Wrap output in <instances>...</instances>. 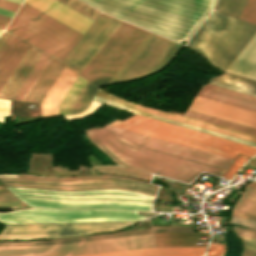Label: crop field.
Returning <instances> with one entry per match:
<instances>
[{"mask_svg": "<svg viewBox=\"0 0 256 256\" xmlns=\"http://www.w3.org/2000/svg\"><path fill=\"white\" fill-rule=\"evenodd\" d=\"M83 1L123 20L181 42L189 38L216 0Z\"/></svg>", "mask_w": 256, "mask_h": 256, "instance_id": "1", "label": "crop field"}, {"mask_svg": "<svg viewBox=\"0 0 256 256\" xmlns=\"http://www.w3.org/2000/svg\"><path fill=\"white\" fill-rule=\"evenodd\" d=\"M86 134L94 145L121 165L123 164L110 155L102 144L127 166L186 183L191 182L201 171L217 176H222L224 173V170L147 150L103 128L86 131ZM115 138L148 153L128 147Z\"/></svg>", "mask_w": 256, "mask_h": 256, "instance_id": "2", "label": "crop field"}, {"mask_svg": "<svg viewBox=\"0 0 256 256\" xmlns=\"http://www.w3.org/2000/svg\"><path fill=\"white\" fill-rule=\"evenodd\" d=\"M255 33V25L213 11L186 46L226 71Z\"/></svg>", "mask_w": 256, "mask_h": 256, "instance_id": "3", "label": "crop field"}, {"mask_svg": "<svg viewBox=\"0 0 256 256\" xmlns=\"http://www.w3.org/2000/svg\"><path fill=\"white\" fill-rule=\"evenodd\" d=\"M6 31L59 60L83 35L25 2Z\"/></svg>", "mask_w": 256, "mask_h": 256, "instance_id": "4", "label": "crop field"}, {"mask_svg": "<svg viewBox=\"0 0 256 256\" xmlns=\"http://www.w3.org/2000/svg\"><path fill=\"white\" fill-rule=\"evenodd\" d=\"M110 125L200 149L234 159L237 153L254 156L256 148L191 131L167 123L135 115L128 120L115 121Z\"/></svg>", "mask_w": 256, "mask_h": 256, "instance_id": "5", "label": "crop field"}, {"mask_svg": "<svg viewBox=\"0 0 256 256\" xmlns=\"http://www.w3.org/2000/svg\"><path fill=\"white\" fill-rule=\"evenodd\" d=\"M147 33L123 22L80 75L99 87L106 84Z\"/></svg>", "mask_w": 256, "mask_h": 256, "instance_id": "6", "label": "crop field"}, {"mask_svg": "<svg viewBox=\"0 0 256 256\" xmlns=\"http://www.w3.org/2000/svg\"><path fill=\"white\" fill-rule=\"evenodd\" d=\"M155 247L152 234L53 246L0 247V256H77Z\"/></svg>", "mask_w": 256, "mask_h": 256, "instance_id": "7", "label": "crop field"}, {"mask_svg": "<svg viewBox=\"0 0 256 256\" xmlns=\"http://www.w3.org/2000/svg\"><path fill=\"white\" fill-rule=\"evenodd\" d=\"M182 46L149 32L107 84L142 78L160 70L169 64Z\"/></svg>", "mask_w": 256, "mask_h": 256, "instance_id": "8", "label": "crop field"}, {"mask_svg": "<svg viewBox=\"0 0 256 256\" xmlns=\"http://www.w3.org/2000/svg\"><path fill=\"white\" fill-rule=\"evenodd\" d=\"M145 216L137 211L121 210H54L25 209L0 213V221L5 223H75L88 221L139 220Z\"/></svg>", "mask_w": 256, "mask_h": 256, "instance_id": "9", "label": "crop field"}, {"mask_svg": "<svg viewBox=\"0 0 256 256\" xmlns=\"http://www.w3.org/2000/svg\"><path fill=\"white\" fill-rule=\"evenodd\" d=\"M136 222H102L73 225L30 224L7 225L0 239L56 238L115 230Z\"/></svg>", "mask_w": 256, "mask_h": 256, "instance_id": "10", "label": "crop field"}, {"mask_svg": "<svg viewBox=\"0 0 256 256\" xmlns=\"http://www.w3.org/2000/svg\"><path fill=\"white\" fill-rule=\"evenodd\" d=\"M121 23L122 21L102 13L65 57L63 63L80 74Z\"/></svg>", "mask_w": 256, "mask_h": 256, "instance_id": "11", "label": "crop field"}, {"mask_svg": "<svg viewBox=\"0 0 256 256\" xmlns=\"http://www.w3.org/2000/svg\"><path fill=\"white\" fill-rule=\"evenodd\" d=\"M118 135H121L131 141H134L147 148L155 149L172 155L180 156L193 161L221 167L227 169L232 159L217 156L200 150L192 149L175 143L167 142L150 136L142 135L114 126L104 127Z\"/></svg>", "mask_w": 256, "mask_h": 256, "instance_id": "12", "label": "crop field"}, {"mask_svg": "<svg viewBox=\"0 0 256 256\" xmlns=\"http://www.w3.org/2000/svg\"><path fill=\"white\" fill-rule=\"evenodd\" d=\"M27 205L45 208H111L151 211V203L117 200H58L35 197H17Z\"/></svg>", "mask_w": 256, "mask_h": 256, "instance_id": "13", "label": "crop field"}, {"mask_svg": "<svg viewBox=\"0 0 256 256\" xmlns=\"http://www.w3.org/2000/svg\"><path fill=\"white\" fill-rule=\"evenodd\" d=\"M1 182H22V183H44V184H55V185H66V186H79V185H92V184H103V183H117L119 185H100V186H83V187H65V186H54V185H32V184H12L3 183L4 186H21V187H34V188H49V189H60V190H82V189H93V188H115L124 189L128 191L139 192L148 195H155L157 189L146 187L138 184L122 181H111V180H85L76 182H53V181H39V180H24V179H0Z\"/></svg>", "mask_w": 256, "mask_h": 256, "instance_id": "14", "label": "crop field"}, {"mask_svg": "<svg viewBox=\"0 0 256 256\" xmlns=\"http://www.w3.org/2000/svg\"><path fill=\"white\" fill-rule=\"evenodd\" d=\"M189 110L256 128V113L196 96Z\"/></svg>", "mask_w": 256, "mask_h": 256, "instance_id": "15", "label": "crop field"}, {"mask_svg": "<svg viewBox=\"0 0 256 256\" xmlns=\"http://www.w3.org/2000/svg\"><path fill=\"white\" fill-rule=\"evenodd\" d=\"M95 96L100 97V98H104V99H107V100H111V101L126 105L128 107H131V108H134V109H137V110H140V111L155 114V115H158V116L173 119V120H176V121H180V122H183V123L198 126V127H201V128H205V129H208V130L216 131V132H219V133H223V134H226V135H230V136H233V137L241 138V139L248 140V141L256 143V136L249 135V134L242 133V132H238V131H235V130H231V129L221 127V126H218V125L210 124V123H207V122L199 121V120H196V119H192V118H188V117H184V116H180V115H176V114H172V113L162 112V111H158V110L144 108L140 105L133 104V103L115 98L116 96L113 97V96H111V95H109V94H107V93H105V92H103L99 89L96 92Z\"/></svg>", "mask_w": 256, "mask_h": 256, "instance_id": "16", "label": "crop field"}, {"mask_svg": "<svg viewBox=\"0 0 256 256\" xmlns=\"http://www.w3.org/2000/svg\"><path fill=\"white\" fill-rule=\"evenodd\" d=\"M25 2L33 5L34 7L83 34L94 22L55 0H26Z\"/></svg>", "mask_w": 256, "mask_h": 256, "instance_id": "17", "label": "crop field"}, {"mask_svg": "<svg viewBox=\"0 0 256 256\" xmlns=\"http://www.w3.org/2000/svg\"><path fill=\"white\" fill-rule=\"evenodd\" d=\"M78 74L65 66L41 103V119L57 116V106Z\"/></svg>", "mask_w": 256, "mask_h": 256, "instance_id": "18", "label": "crop field"}, {"mask_svg": "<svg viewBox=\"0 0 256 256\" xmlns=\"http://www.w3.org/2000/svg\"><path fill=\"white\" fill-rule=\"evenodd\" d=\"M9 191H26V192H40V193H56V194H64V195H90V194H129L141 197H133V196H116V195H96V196H56V195H43V194H31V193H19L12 192L14 195H29V196H45V197H56V198H66V199H99V198H107V199H135V200H146L152 201V196L142 195L138 193L128 192L124 190H98V191H84V192H62V191H47V190H36V189H26V188H18V187H6Z\"/></svg>", "mask_w": 256, "mask_h": 256, "instance_id": "19", "label": "crop field"}, {"mask_svg": "<svg viewBox=\"0 0 256 256\" xmlns=\"http://www.w3.org/2000/svg\"><path fill=\"white\" fill-rule=\"evenodd\" d=\"M198 96L256 112V98L214 85L207 84L203 86Z\"/></svg>", "mask_w": 256, "mask_h": 256, "instance_id": "20", "label": "crop field"}, {"mask_svg": "<svg viewBox=\"0 0 256 256\" xmlns=\"http://www.w3.org/2000/svg\"><path fill=\"white\" fill-rule=\"evenodd\" d=\"M30 45L12 36L0 54V91Z\"/></svg>", "mask_w": 256, "mask_h": 256, "instance_id": "21", "label": "crop field"}, {"mask_svg": "<svg viewBox=\"0 0 256 256\" xmlns=\"http://www.w3.org/2000/svg\"><path fill=\"white\" fill-rule=\"evenodd\" d=\"M43 52L30 46L23 59L0 92V98L12 99Z\"/></svg>", "mask_w": 256, "mask_h": 256, "instance_id": "22", "label": "crop field"}, {"mask_svg": "<svg viewBox=\"0 0 256 256\" xmlns=\"http://www.w3.org/2000/svg\"><path fill=\"white\" fill-rule=\"evenodd\" d=\"M64 66L51 58L23 101L41 103Z\"/></svg>", "mask_w": 256, "mask_h": 256, "instance_id": "23", "label": "crop field"}, {"mask_svg": "<svg viewBox=\"0 0 256 256\" xmlns=\"http://www.w3.org/2000/svg\"><path fill=\"white\" fill-rule=\"evenodd\" d=\"M206 247L151 248L86 256H202Z\"/></svg>", "mask_w": 256, "mask_h": 256, "instance_id": "24", "label": "crop field"}, {"mask_svg": "<svg viewBox=\"0 0 256 256\" xmlns=\"http://www.w3.org/2000/svg\"><path fill=\"white\" fill-rule=\"evenodd\" d=\"M227 72L256 80V34L228 68Z\"/></svg>", "mask_w": 256, "mask_h": 256, "instance_id": "25", "label": "crop field"}, {"mask_svg": "<svg viewBox=\"0 0 256 256\" xmlns=\"http://www.w3.org/2000/svg\"><path fill=\"white\" fill-rule=\"evenodd\" d=\"M148 233H152L151 229L139 230V231H130V232H122V233H115V234H108V235H98V236L59 239V240H51V241L17 242V243L0 242V246L53 245V244L79 242V241L96 240V239H105V238L122 237V236H131V235L148 234Z\"/></svg>", "mask_w": 256, "mask_h": 256, "instance_id": "26", "label": "crop field"}, {"mask_svg": "<svg viewBox=\"0 0 256 256\" xmlns=\"http://www.w3.org/2000/svg\"><path fill=\"white\" fill-rule=\"evenodd\" d=\"M210 84L256 96V81L238 76L224 74L222 76L211 79Z\"/></svg>", "mask_w": 256, "mask_h": 256, "instance_id": "27", "label": "crop field"}, {"mask_svg": "<svg viewBox=\"0 0 256 256\" xmlns=\"http://www.w3.org/2000/svg\"><path fill=\"white\" fill-rule=\"evenodd\" d=\"M157 246H205L195 245L196 236L209 234L154 233Z\"/></svg>", "mask_w": 256, "mask_h": 256, "instance_id": "28", "label": "crop field"}, {"mask_svg": "<svg viewBox=\"0 0 256 256\" xmlns=\"http://www.w3.org/2000/svg\"><path fill=\"white\" fill-rule=\"evenodd\" d=\"M94 100L100 101V102H103V103H106V104H109V105H112V106H115L117 108L129 111V112H132V113H135V114H138V115L146 116V117L153 118V119H156V120L164 121V122H167V123L175 124V125L182 126V127H185V128L193 129V130H196V131L204 132V133H207V134L215 135V136H218V137H222V138H225V139L233 140V141H236V142H240V143H244V144L256 147V144H254V143L246 142V141L239 140V139H236V138H232V137H229V136H225V135H222V134L214 133V132L207 131V130H204V129H200V128H197V127H193V126H190V125H186V124H183V123L172 121V120H169V119H165V118H161V117L154 116V115H151V114H147V113H144V112H140V111L125 107L123 105H120V104H117V103H114V102H111V101L103 100V99L96 98V97L94 98Z\"/></svg>", "mask_w": 256, "mask_h": 256, "instance_id": "29", "label": "crop field"}, {"mask_svg": "<svg viewBox=\"0 0 256 256\" xmlns=\"http://www.w3.org/2000/svg\"><path fill=\"white\" fill-rule=\"evenodd\" d=\"M51 57L47 56L46 54L43 53L37 64L34 66L22 86L19 88L15 96L13 97L14 100H19L22 101L28 90L31 88L43 68L46 66L48 61L50 60Z\"/></svg>", "mask_w": 256, "mask_h": 256, "instance_id": "30", "label": "crop field"}, {"mask_svg": "<svg viewBox=\"0 0 256 256\" xmlns=\"http://www.w3.org/2000/svg\"><path fill=\"white\" fill-rule=\"evenodd\" d=\"M86 82V80L78 75V77L70 87L69 91L58 106V116L70 114L69 107L75 100L81 89L84 87Z\"/></svg>", "mask_w": 256, "mask_h": 256, "instance_id": "31", "label": "crop field"}, {"mask_svg": "<svg viewBox=\"0 0 256 256\" xmlns=\"http://www.w3.org/2000/svg\"><path fill=\"white\" fill-rule=\"evenodd\" d=\"M184 116L196 118V119H199V120L211 122V123H214V124L222 125V126H225V127L237 129V130H240V131H243V132H247V133L256 135V129L249 128V127H246V126H242V125H239V124H235V123H232V122H228V121H225V120H221V119H218V118L210 117V116L203 115V114H200V113H196V112H193V111L187 110L185 112Z\"/></svg>", "mask_w": 256, "mask_h": 256, "instance_id": "32", "label": "crop field"}, {"mask_svg": "<svg viewBox=\"0 0 256 256\" xmlns=\"http://www.w3.org/2000/svg\"><path fill=\"white\" fill-rule=\"evenodd\" d=\"M17 178H24V179H44V180H56V181H66V180H78V179H90V178H108V179H115V180H122V181H129L133 183H138L146 186H151L158 188V186L147 184L142 181L125 178V177H117L111 175H98V176H86V177H66V178H56V177H46V176H34V175H17Z\"/></svg>", "mask_w": 256, "mask_h": 256, "instance_id": "33", "label": "crop field"}, {"mask_svg": "<svg viewBox=\"0 0 256 256\" xmlns=\"http://www.w3.org/2000/svg\"><path fill=\"white\" fill-rule=\"evenodd\" d=\"M96 90V87L87 82L85 87L82 89L76 100L70 107L71 114L78 113L88 107L92 96Z\"/></svg>", "mask_w": 256, "mask_h": 256, "instance_id": "34", "label": "crop field"}, {"mask_svg": "<svg viewBox=\"0 0 256 256\" xmlns=\"http://www.w3.org/2000/svg\"><path fill=\"white\" fill-rule=\"evenodd\" d=\"M245 2L246 0H218L214 10L238 18Z\"/></svg>", "mask_w": 256, "mask_h": 256, "instance_id": "35", "label": "crop field"}, {"mask_svg": "<svg viewBox=\"0 0 256 256\" xmlns=\"http://www.w3.org/2000/svg\"><path fill=\"white\" fill-rule=\"evenodd\" d=\"M235 210L256 215V189L247 187Z\"/></svg>", "mask_w": 256, "mask_h": 256, "instance_id": "36", "label": "crop field"}, {"mask_svg": "<svg viewBox=\"0 0 256 256\" xmlns=\"http://www.w3.org/2000/svg\"><path fill=\"white\" fill-rule=\"evenodd\" d=\"M57 1L75 9L76 11L82 13L83 15L87 16L88 18L94 21L100 14V11L86 5L85 3L79 0H57Z\"/></svg>", "mask_w": 256, "mask_h": 256, "instance_id": "37", "label": "crop field"}, {"mask_svg": "<svg viewBox=\"0 0 256 256\" xmlns=\"http://www.w3.org/2000/svg\"><path fill=\"white\" fill-rule=\"evenodd\" d=\"M96 169H98L100 172L124 174V175H129L132 177H137V178H142L147 180H149L151 177V174L128 169V168H123V167L108 166V167H97Z\"/></svg>", "mask_w": 256, "mask_h": 256, "instance_id": "38", "label": "crop field"}, {"mask_svg": "<svg viewBox=\"0 0 256 256\" xmlns=\"http://www.w3.org/2000/svg\"><path fill=\"white\" fill-rule=\"evenodd\" d=\"M240 19L256 24V0H247Z\"/></svg>", "mask_w": 256, "mask_h": 256, "instance_id": "39", "label": "crop field"}, {"mask_svg": "<svg viewBox=\"0 0 256 256\" xmlns=\"http://www.w3.org/2000/svg\"><path fill=\"white\" fill-rule=\"evenodd\" d=\"M249 158L237 156L232 165L229 167L223 178L231 179L239 170L241 165L245 163Z\"/></svg>", "mask_w": 256, "mask_h": 256, "instance_id": "40", "label": "crop field"}, {"mask_svg": "<svg viewBox=\"0 0 256 256\" xmlns=\"http://www.w3.org/2000/svg\"><path fill=\"white\" fill-rule=\"evenodd\" d=\"M154 232H181L193 233L192 227H175V226H152Z\"/></svg>", "mask_w": 256, "mask_h": 256, "instance_id": "41", "label": "crop field"}, {"mask_svg": "<svg viewBox=\"0 0 256 256\" xmlns=\"http://www.w3.org/2000/svg\"><path fill=\"white\" fill-rule=\"evenodd\" d=\"M0 205L25 206L15 199L10 192H0Z\"/></svg>", "mask_w": 256, "mask_h": 256, "instance_id": "42", "label": "crop field"}, {"mask_svg": "<svg viewBox=\"0 0 256 256\" xmlns=\"http://www.w3.org/2000/svg\"><path fill=\"white\" fill-rule=\"evenodd\" d=\"M231 223L240 225V226H244V227H248V228H252V229H256V221H252V220H248V219H244V218H239V217L233 216Z\"/></svg>", "mask_w": 256, "mask_h": 256, "instance_id": "43", "label": "crop field"}, {"mask_svg": "<svg viewBox=\"0 0 256 256\" xmlns=\"http://www.w3.org/2000/svg\"><path fill=\"white\" fill-rule=\"evenodd\" d=\"M10 116L9 101L0 100V121L4 122L5 117Z\"/></svg>", "mask_w": 256, "mask_h": 256, "instance_id": "44", "label": "crop field"}, {"mask_svg": "<svg viewBox=\"0 0 256 256\" xmlns=\"http://www.w3.org/2000/svg\"><path fill=\"white\" fill-rule=\"evenodd\" d=\"M234 231L237 235L256 239V231L255 230L234 227Z\"/></svg>", "mask_w": 256, "mask_h": 256, "instance_id": "45", "label": "crop field"}, {"mask_svg": "<svg viewBox=\"0 0 256 256\" xmlns=\"http://www.w3.org/2000/svg\"><path fill=\"white\" fill-rule=\"evenodd\" d=\"M226 246L212 244L208 256H223Z\"/></svg>", "mask_w": 256, "mask_h": 256, "instance_id": "46", "label": "crop field"}, {"mask_svg": "<svg viewBox=\"0 0 256 256\" xmlns=\"http://www.w3.org/2000/svg\"><path fill=\"white\" fill-rule=\"evenodd\" d=\"M99 103L97 102H92V104L84 111L82 112L81 114H78V115H72V116H66V118H69V119H76V118H80V117H83L85 116L86 114L92 112L93 110H95V108L97 107Z\"/></svg>", "mask_w": 256, "mask_h": 256, "instance_id": "47", "label": "crop field"}, {"mask_svg": "<svg viewBox=\"0 0 256 256\" xmlns=\"http://www.w3.org/2000/svg\"><path fill=\"white\" fill-rule=\"evenodd\" d=\"M18 7H19V4H15L5 0H0V8H4L7 10L16 12Z\"/></svg>", "mask_w": 256, "mask_h": 256, "instance_id": "48", "label": "crop field"}, {"mask_svg": "<svg viewBox=\"0 0 256 256\" xmlns=\"http://www.w3.org/2000/svg\"><path fill=\"white\" fill-rule=\"evenodd\" d=\"M240 238L243 240L245 248L256 250V240L245 238V237H240Z\"/></svg>", "mask_w": 256, "mask_h": 256, "instance_id": "49", "label": "crop field"}, {"mask_svg": "<svg viewBox=\"0 0 256 256\" xmlns=\"http://www.w3.org/2000/svg\"><path fill=\"white\" fill-rule=\"evenodd\" d=\"M11 38V35L7 33H3V35L0 38V52L3 50L9 39Z\"/></svg>", "mask_w": 256, "mask_h": 256, "instance_id": "50", "label": "crop field"}, {"mask_svg": "<svg viewBox=\"0 0 256 256\" xmlns=\"http://www.w3.org/2000/svg\"><path fill=\"white\" fill-rule=\"evenodd\" d=\"M233 215L248 218V219H252V220H256V216L250 215V214H245V213H240V212L234 211Z\"/></svg>", "mask_w": 256, "mask_h": 256, "instance_id": "51", "label": "crop field"}, {"mask_svg": "<svg viewBox=\"0 0 256 256\" xmlns=\"http://www.w3.org/2000/svg\"><path fill=\"white\" fill-rule=\"evenodd\" d=\"M0 14L12 18L13 15H14V12H10V11L4 10V9H0Z\"/></svg>", "mask_w": 256, "mask_h": 256, "instance_id": "52", "label": "crop field"}, {"mask_svg": "<svg viewBox=\"0 0 256 256\" xmlns=\"http://www.w3.org/2000/svg\"><path fill=\"white\" fill-rule=\"evenodd\" d=\"M242 256H256V251H251V250L245 249Z\"/></svg>", "mask_w": 256, "mask_h": 256, "instance_id": "53", "label": "crop field"}, {"mask_svg": "<svg viewBox=\"0 0 256 256\" xmlns=\"http://www.w3.org/2000/svg\"><path fill=\"white\" fill-rule=\"evenodd\" d=\"M8 24V21H4L0 19V28L5 29L6 25Z\"/></svg>", "mask_w": 256, "mask_h": 256, "instance_id": "54", "label": "crop field"}, {"mask_svg": "<svg viewBox=\"0 0 256 256\" xmlns=\"http://www.w3.org/2000/svg\"><path fill=\"white\" fill-rule=\"evenodd\" d=\"M0 177L16 178V175L0 174Z\"/></svg>", "mask_w": 256, "mask_h": 256, "instance_id": "55", "label": "crop field"}, {"mask_svg": "<svg viewBox=\"0 0 256 256\" xmlns=\"http://www.w3.org/2000/svg\"><path fill=\"white\" fill-rule=\"evenodd\" d=\"M248 164H250V165L256 167V159L250 161V163H248Z\"/></svg>", "mask_w": 256, "mask_h": 256, "instance_id": "56", "label": "crop field"}, {"mask_svg": "<svg viewBox=\"0 0 256 256\" xmlns=\"http://www.w3.org/2000/svg\"><path fill=\"white\" fill-rule=\"evenodd\" d=\"M9 1L21 4L23 0H9Z\"/></svg>", "mask_w": 256, "mask_h": 256, "instance_id": "57", "label": "crop field"}, {"mask_svg": "<svg viewBox=\"0 0 256 256\" xmlns=\"http://www.w3.org/2000/svg\"><path fill=\"white\" fill-rule=\"evenodd\" d=\"M0 18H1V19H4V20H8V21H10V20H11V18L4 17V16H1V15H0Z\"/></svg>", "mask_w": 256, "mask_h": 256, "instance_id": "58", "label": "crop field"}, {"mask_svg": "<svg viewBox=\"0 0 256 256\" xmlns=\"http://www.w3.org/2000/svg\"><path fill=\"white\" fill-rule=\"evenodd\" d=\"M249 187H253V188H256V182H253L249 185Z\"/></svg>", "mask_w": 256, "mask_h": 256, "instance_id": "59", "label": "crop field"}, {"mask_svg": "<svg viewBox=\"0 0 256 256\" xmlns=\"http://www.w3.org/2000/svg\"><path fill=\"white\" fill-rule=\"evenodd\" d=\"M0 190H6L4 187H0Z\"/></svg>", "mask_w": 256, "mask_h": 256, "instance_id": "60", "label": "crop field"}, {"mask_svg": "<svg viewBox=\"0 0 256 256\" xmlns=\"http://www.w3.org/2000/svg\"><path fill=\"white\" fill-rule=\"evenodd\" d=\"M1 32H2V31L0 30V34H1Z\"/></svg>", "mask_w": 256, "mask_h": 256, "instance_id": "61", "label": "crop field"}]
</instances>
